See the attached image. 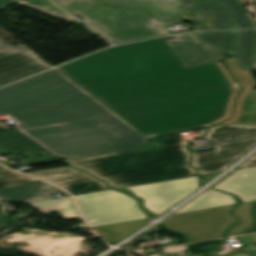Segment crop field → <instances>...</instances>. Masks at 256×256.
<instances>
[{
    "label": "crop field",
    "mask_w": 256,
    "mask_h": 256,
    "mask_svg": "<svg viewBox=\"0 0 256 256\" xmlns=\"http://www.w3.org/2000/svg\"><path fill=\"white\" fill-rule=\"evenodd\" d=\"M144 136L214 122L233 88L215 63L185 69L163 38L57 68Z\"/></svg>",
    "instance_id": "crop-field-1"
},
{
    "label": "crop field",
    "mask_w": 256,
    "mask_h": 256,
    "mask_svg": "<svg viewBox=\"0 0 256 256\" xmlns=\"http://www.w3.org/2000/svg\"><path fill=\"white\" fill-rule=\"evenodd\" d=\"M0 115L68 159L150 147L147 138L56 69L0 89Z\"/></svg>",
    "instance_id": "crop-field-2"
},
{
    "label": "crop field",
    "mask_w": 256,
    "mask_h": 256,
    "mask_svg": "<svg viewBox=\"0 0 256 256\" xmlns=\"http://www.w3.org/2000/svg\"><path fill=\"white\" fill-rule=\"evenodd\" d=\"M214 123L147 136L151 148L68 160L107 182L111 188L129 187L197 176L189 167L190 154L181 132L195 129L200 136Z\"/></svg>",
    "instance_id": "crop-field-3"
},
{
    "label": "crop field",
    "mask_w": 256,
    "mask_h": 256,
    "mask_svg": "<svg viewBox=\"0 0 256 256\" xmlns=\"http://www.w3.org/2000/svg\"><path fill=\"white\" fill-rule=\"evenodd\" d=\"M112 44L167 34L187 21L179 0H52Z\"/></svg>",
    "instance_id": "crop-field-4"
},
{
    "label": "crop field",
    "mask_w": 256,
    "mask_h": 256,
    "mask_svg": "<svg viewBox=\"0 0 256 256\" xmlns=\"http://www.w3.org/2000/svg\"><path fill=\"white\" fill-rule=\"evenodd\" d=\"M90 227L146 218L137 200L113 190L75 196Z\"/></svg>",
    "instance_id": "crop-field-5"
},
{
    "label": "crop field",
    "mask_w": 256,
    "mask_h": 256,
    "mask_svg": "<svg viewBox=\"0 0 256 256\" xmlns=\"http://www.w3.org/2000/svg\"><path fill=\"white\" fill-rule=\"evenodd\" d=\"M232 206L176 214L163 223L168 230L186 234L192 242L219 238L236 220L229 214Z\"/></svg>",
    "instance_id": "crop-field-6"
},
{
    "label": "crop field",
    "mask_w": 256,
    "mask_h": 256,
    "mask_svg": "<svg viewBox=\"0 0 256 256\" xmlns=\"http://www.w3.org/2000/svg\"><path fill=\"white\" fill-rule=\"evenodd\" d=\"M198 187L197 177L126 188L144 199V207L157 215ZM194 192V191H193ZM190 195V194H189Z\"/></svg>",
    "instance_id": "crop-field-7"
},
{
    "label": "crop field",
    "mask_w": 256,
    "mask_h": 256,
    "mask_svg": "<svg viewBox=\"0 0 256 256\" xmlns=\"http://www.w3.org/2000/svg\"><path fill=\"white\" fill-rule=\"evenodd\" d=\"M52 67L24 45L11 46L0 39V85Z\"/></svg>",
    "instance_id": "crop-field-8"
},
{
    "label": "crop field",
    "mask_w": 256,
    "mask_h": 256,
    "mask_svg": "<svg viewBox=\"0 0 256 256\" xmlns=\"http://www.w3.org/2000/svg\"><path fill=\"white\" fill-rule=\"evenodd\" d=\"M214 146L216 150L193 154L192 166L199 170V175L224 170L245 152L256 146V136L221 142Z\"/></svg>",
    "instance_id": "crop-field-9"
},
{
    "label": "crop field",
    "mask_w": 256,
    "mask_h": 256,
    "mask_svg": "<svg viewBox=\"0 0 256 256\" xmlns=\"http://www.w3.org/2000/svg\"><path fill=\"white\" fill-rule=\"evenodd\" d=\"M27 174L37 176L56 184L67 190L73 196L109 189L103 181L97 180L91 175L82 171H77L69 166L30 172Z\"/></svg>",
    "instance_id": "crop-field-10"
},
{
    "label": "crop field",
    "mask_w": 256,
    "mask_h": 256,
    "mask_svg": "<svg viewBox=\"0 0 256 256\" xmlns=\"http://www.w3.org/2000/svg\"><path fill=\"white\" fill-rule=\"evenodd\" d=\"M187 17L197 29H232L228 22L229 12L210 0H180Z\"/></svg>",
    "instance_id": "crop-field-11"
},
{
    "label": "crop field",
    "mask_w": 256,
    "mask_h": 256,
    "mask_svg": "<svg viewBox=\"0 0 256 256\" xmlns=\"http://www.w3.org/2000/svg\"><path fill=\"white\" fill-rule=\"evenodd\" d=\"M166 43L185 68L212 63V59L199 44L194 33L174 35Z\"/></svg>",
    "instance_id": "crop-field-12"
},
{
    "label": "crop field",
    "mask_w": 256,
    "mask_h": 256,
    "mask_svg": "<svg viewBox=\"0 0 256 256\" xmlns=\"http://www.w3.org/2000/svg\"><path fill=\"white\" fill-rule=\"evenodd\" d=\"M214 189L235 194L243 203L256 201V167L236 171Z\"/></svg>",
    "instance_id": "crop-field-13"
},
{
    "label": "crop field",
    "mask_w": 256,
    "mask_h": 256,
    "mask_svg": "<svg viewBox=\"0 0 256 256\" xmlns=\"http://www.w3.org/2000/svg\"><path fill=\"white\" fill-rule=\"evenodd\" d=\"M60 189L46 183H36L25 186L0 190V199L6 203L30 202L54 198L50 194Z\"/></svg>",
    "instance_id": "crop-field-14"
},
{
    "label": "crop field",
    "mask_w": 256,
    "mask_h": 256,
    "mask_svg": "<svg viewBox=\"0 0 256 256\" xmlns=\"http://www.w3.org/2000/svg\"><path fill=\"white\" fill-rule=\"evenodd\" d=\"M0 146L5 147L7 153L21 152L27 156L42 153L47 156H52L17 130L4 133L0 132Z\"/></svg>",
    "instance_id": "crop-field-15"
},
{
    "label": "crop field",
    "mask_w": 256,
    "mask_h": 256,
    "mask_svg": "<svg viewBox=\"0 0 256 256\" xmlns=\"http://www.w3.org/2000/svg\"><path fill=\"white\" fill-rule=\"evenodd\" d=\"M148 222V219H143L119 224L94 227L92 229L96 231L106 242L115 244L130 236Z\"/></svg>",
    "instance_id": "crop-field-16"
},
{
    "label": "crop field",
    "mask_w": 256,
    "mask_h": 256,
    "mask_svg": "<svg viewBox=\"0 0 256 256\" xmlns=\"http://www.w3.org/2000/svg\"><path fill=\"white\" fill-rule=\"evenodd\" d=\"M237 54L242 70H251L256 46V30L236 31Z\"/></svg>",
    "instance_id": "crop-field-17"
},
{
    "label": "crop field",
    "mask_w": 256,
    "mask_h": 256,
    "mask_svg": "<svg viewBox=\"0 0 256 256\" xmlns=\"http://www.w3.org/2000/svg\"><path fill=\"white\" fill-rule=\"evenodd\" d=\"M28 204L42 214L59 212L65 221L81 218L71 197L30 202Z\"/></svg>",
    "instance_id": "crop-field-18"
},
{
    "label": "crop field",
    "mask_w": 256,
    "mask_h": 256,
    "mask_svg": "<svg viewBox=\"0 0 256 256\" xmlns=\"http://www.w3.org/2000/svg\"><path fill=\"white\" fill-rule=\"evenodd\" d=\"M235 203L236 201L231 195L222 194L215 190H209L198 196L196 199L191 201L189 204L181 208L176 213L232 205Z\"/></svg>",
    "instance_id": "crop-field-19"
},
{
    "label": "crop field",
    "mask_w": 256,
    "mask_h": 256,
    "mask_svg": "<svg viewBox=\"0 0 256 256\" xmlns=\"http://www.w3.org/2000/svg\"><path fill=\"white\" fill-rule=\"evenodd\" d=\"M256 134V126L220 124L209 129L205 137L210 141H219Z\"/></svg>",
    "instance_id": "crop-field-20"
},
{
    "label": "crop field",
    "mask_w": 256,
    "mask_h": 256,
    "mask_svg": "<svg viewBox=\"0 0 256 256\" xmlns=\"http://www.w3.org/2000/svg\"><path fill=\"white\" fill-rule=\"evenodd\" d=\"M198 39L231 55L235 52L234 32H197Z\"/></svg>",
    "instance_id": "crop-field-21"
},
{
    "label": "crop field",
    "mask_w": 256,
    "mask_h": 256,
    "mask_svg": "<svg viewBox=\"0 0 256 256\" xmlns=\"http://www.w3.org/2000/svg\"><path fill=\"white\" fill-rule=\"evenodd\" d=\"M226 6L231 12V21L235 29L256 27L248 13L245 11L239 0H216Z\"/></svg>",
    "instance_id": "crop-field-22"
},
{
    "label": "crop field",
    "mask_w": 256,
    "mask_h": 256,
    "mask_svg": "<svg viewBox=\"0 0 256 256\" xmlns=\"http://www.w3.org/2000/svg\"><path fill=\"white\" fill-rule=\"evenodd\" d=\"M231 124L256 125V91H250L245 96L239 119Z\"/></svg>",
    "instance_id": "crop-field-23"
},
{
    "label": "crop field",
    "mask_w": 256,
    "mask_h": 256,
    "mask_svg": "<svg viewBox=\"0 0 256 256\" xmlns=\"http://www.w3.org/2000/svg\"><path fill=\"white\" fill-rule=\"evenodd\" d=\"M15 3L79 24L48 0H19Z\"/></svg>",
    "instance_id": "crop-field-24"
},
{
    "label": "crop field",
    "mask_w": 256,
    "mask_h": 256,
    "mask_svg": "<svg viewBox=\"0 0 256 256\" xmlns=\"http://www.w3.org/2000/svg\"><path fill=\"white\" fill-rule=\"evenodd\" d=\"M240 87L253 89L256 87L250 71H242L234 57L223 60Z\"/></svg>",
    "instance_id": "crop-field-25"
},
{
    "label": "crop field",
    "mask_w": 256,
    "mask_h": 256,
    "mask_svg": "<svg viewBox=\"0 0 256 256\" xmlns=\"http://www.w3.org/2000/svg\"><path fill=\"white\" fill-rule=\"evenodd\" d=\"M36 182L42 181L27 175L12 172L8 169L0 170V189Z\"/></svg>",
    "instance_id": "crop-field-26"
},
{
    "label": "crop field",
    "mask_w": 256,
    "mask_h": 256,
    "mask_svg": "<svg viewBox=\"0 0 256 256\" xmlns=\"http://www.w3.org/2000/svg\"><path fill=\"white\" fill-rule=\"evenodd\" d=\"M251 203L252 202L242 204L234 211L236 216L242 220V223L230 231L228 237L239 235V233L242 232L245 228L251 226L252 220L248 215V209Z\"/></svg>",
    "instance_id": "crop-field-27"
},
{
    "label": "crop field",
    "mask_w": 256,
    "mask_h": 256,
    "mask_svg": "<svg viewBox=\"0 0 256 256\" xmlns=\"http://www.w3.org/2000/svg\"><path fill=\"white\" fill-rule=\"evenodd\" d=\"M216 65L218 66L219 70L222 72V74L225 76V78L229 81V83L234 88V90L228 100L226 117L215 122V123H220V122H222L226 119H229L231 117V113H232V109H233V102H234L235 97L237 96V93L240 91V88L238 87L237 83L233 80V78L230 76L229 72L227 71L226 67L223 65L222 62H218V63H216Z\"/></svg>",
    "instance_id": "crop-field-28"
},
{
    "label": "crop field",
    "mask_w": 256,
    "mask_h": 256,
    "mask_svg": "<svg viewBox=\"0 0 256 256\" xmlns=\"http://www.w3.org/2000/svg\"><path fill=\"white\" fill-rule=\"evenodd\" d=\"M200 44L206 50V52L209 54V56L213 59L214 62H218V61H221V59L226 58L222 54V51H220V50H218L216 48H213V47H211L209 45H206V44H204L202 42H200Z\"/></svg>",
    "instance_id": "crop-field-29"
},
{
    "label": "crop field",
    "mask_w": 256,
    "mask_h": 256,
    "mask_svg": "<svg viewBox=\"0 0 256 256\" xmlns=\"http://www.w3.org/2000/svg\"><path fill=\"white\" fill-rule=\"evenodd\" d=\"M248 93V90L246 89H242V92L239 93V97L236 98V102H235V109H234V113H233V116H232V119H229L223 123H230L234 120H236L238 118V115H239V111H240V108H241V104H242V99L243 97Z\"/></svg>",
    "instance_id": "crop-field-30"
},
{
    "label": "crop field",
    "mask_w": 256,
    "mask_h": 256,
    "mask_svg": "<svg viewBox=\"0 0 256 256\" xmlns=\"http://www.w3.org/2000/svg\"><path fill=\"white\" fill-rule=\"evenodd\" d=\"M249 214L253 220V224L250 228L245 229L241 234L245 233H251V232H256V202H253L250 209H249Z\"/></svg>",
    "instance_id": "crop-field-31"
},
{
    "label": "crop field",
    "mask_w": 256,
    "mask_h": 256,
    "mask_svg": "<svg viewBox=\"0 0 256 256\" xmlns=\"http://www.w3.org/2000/svg\"><path fill=\"white\" fill-rule=\"evenodd\" d=\"M241 245L249 244V243H255L256 242V234L255 235H249V236H243L237 238Z\"/></svg>",
    "instance_id": "crop-field-32"
},
{
    "label": "crop field",
    "mask_w": 256,
    "mask_h": 256,
    "mask_svg": "<svg viewBox=\"0 0 256 256\" xmlns=\"http://www.w3.org/2000/svg\"><path fill=\"white\" fill-rule=\"evenodd\" d=\"M248 256H256V243L243 246Z\"/></svg>",
    "instance_id": "crop-field-33"
},
{
    "label": "crop field",
    "mask_w": 256,
    "mask_h": 256,
    "mask_svg": "<svg viewBox=\"0 0 256 256\" xmlns=\"http://www.w3.org/2000/svg\"><path fill=\"white\" fill-rule=\"evenodd\" d=\"M243 164V163H242ZM256 166V154L252 156L249 160H247L243 165H241L238 169L253 167Z\"/></svg>",
    "instance_id": "crop-field-34"
},
{
    "label": "crop field",
    "mask_w": 256,
    "mask_h": 256,
    "mask_svg": "<svg viewBox=\"0 0 256 256\" xmlns=\"http://www.w3.org/2000/svg\"><path fill=\"white\" fill-rule=\"evenodd\" d=\"M17 0H0V8L11 3V2H15Z\"/></svg>",
    "instance_id": "crop-field-35"
},
{
    "label": "crop field",
    "mask_w": 256,
    "mask_h": 256,
    "mask_svg": "<svg viewBox=\"0 0 256 256\" xmlns=\"http://www.w3.org/2000/svg\"><path fill=\"white\" fill-rule=\"evenodd\" d=\"M253 69H256V53H255V60H254V66Z\"/></svg>",
    "instance_id": "crop-field-36"
},
{
    "label": "crop field",
    "mask_w": 256,
    "mask_h": 256,
    "mask_svg": "<svg viewBox=\"0 0 256 256\" xmlns=\"http://www.w3.org/2000/svg\"><path fill=\"white\" fill-rule=\"evenodd\" d=\"M231 256H247L246 253L243 254H237V255H231Z\"/></svg>",
    "instance_id": "crop-field-37"
},
{
    "label": "crop field",
    "mask_w": 256,
    "mask_h": 256,
    "mask_svg": "<svg viewBox=\"0 0 256 256\" xmlns=\"http://www.w3.org/2000/svg\"><path fill=\"white\" fill-rule=\"evenodd\" d=\"M1 154H4V153H3L2 149L0 148V155H1Z\"/></svg>",
    "instance_id": "crop-field-38"
},
{
    "label": "crop field",
    "mask_w": 256,
    "mask_h": 256,
    "mask_svg": "<svg viewBox=\"0 0 256 256\" xmlns=\"http://www.w3.org/2000/svg\"><path fill=\"white\" fill-rule=\"evenodd\" d=\"M0 169H5V168H3V167L0 166Z\"/></svg>",
    "instance_id": "crop-field-39"
}]
</instances>
